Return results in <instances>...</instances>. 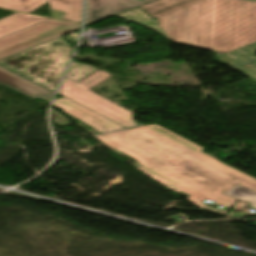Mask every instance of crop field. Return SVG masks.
Listing matches in <instances>:
<instances>
[{
	"instance_id": "1",
	"label": "crop field",
	"mask_w": 256,
	"mask_h": 256,
	"mask_svg": "<svg viewBox=\"0 0 256 256\" xmlns=\"http://www.w3.org/2000/svg\"><path fill=\"white\" fill-rule=\"evenodd\" d=\"M104 146L117 147L126 155L138 160L134 165L173 192L182 191L199 208L226 214L235 198L223 194L237 183L182 157L130 130L103 134L94 137ZM202 200L214 201L224 206L212 209L201 203Z\"/></svg>"
},
{
	"instance_id": "2",
	"label": "crop field",
	"mask_w": 256,
	"mask_h": 256,
	"mask_svg": "<svg viewBox=\"0 0 256 256\" xmlns=\"http://www.w3.org/2000/svg\"><path fill=\"white\" fill-rule=\"evenodd\" d=\"M72 48L60 37L0 61V65L55 91Z\"/></svg>"
},
{
	"instance_id": "3",
	"label": "crop field",
	"mask_w": 256,
	"mask_h": 256,
	"mask_svg": "<svg viewBox=\"0 0 256 256\" xmlns=\"http://www.w3.org/2000/svg\"><path fill=\"white\" fill-rule=\"evenodd\" d=\"M216 0H204L158 17L157 23L170 41L213 51Z\"/></svg>"
},
{
	"instance_id": "4",
	"label": "crop field",
	"mask_w": 256,
	"mask_h": 256,
	"mask_svg": "<svg viewBox=\"0 0 256 256\" xmlns=\"http://www.w3.org/2000/svg\"><path fill=\"white\" fill-rule=\"evenodd\" d=\"M256 41V2L217 0L214 51L222 54Z\"/></svg>"
},
{
	"instance_id": "5",
	"label": "crop field",
	"mask_w": 256,
	"mask_h": 256,
	"mask_svg": "<svg viewBox=\"0 0 256 256\" xmlns=\"http://www.w3.org/2000/svg\"><path fill=\"white\" fill-rule=\"evenodd\" d=\"M182 156H185L237 183L256 191V179L202 152L204 148L158 126L147 125L130 129Z\"/></svg>"
},
{
	"instance_id": "6",
	"label": "crop field",
	"mask_w": 256,
	"mask_h": 256,
	"mask_svg": "<svg viewBox=\"0 0 256 256\" xmlns=\"http://www.w3.org/2000/svg\"><path fill=\"white\" fill-rule=\"evenodd\" d=\"M109 77H111V75L99 70L77 83L65 78L59 91V95L64 96L126 128L138 125L133 120V112L89 90Z\"/></svg>"
},
{
	"instance_id": "7",
	"label": "crop field",
	"mask_w": 256,
	"mask_h": 256,
	"mask_svg": "<svg viewBox=\"0 0 256 256\" xmlns=\"http://www.w3.org/2000/svg\"><path fill=\"white\" fill-rule=\"evenodd\" d=\"M67 114L79 119L83 123L104 133L111 130L124 129V127L62 97L53 103Z\"/></svg>"
},
{
	"instance_id": "8",
	"label": "crop field",
	"mask_w": 256,
	"mask_h": 256,
	"mask_svg": "<svg viewBox=\"0 0 256 256\" xmlns=\"http://www.w3.org/2000/svg\"><path fill=\"white\" fill-rule=\"evenodd\" d=\"M153 0H87L86 25L130 10Z\"/></svg>"
},
{
	"instance_id": "9",
	"label": "crop field",
	"mask_w": 256,
	"mask_h": 256,
	"mask_svg": "<svg viewBox=\"0 0 256 256\" xmlns=\"http://www.w3.org/2000/svg\"><path fill=\"white\" fill-rule=\"evenodd\" d=\"M70 24L72 23L49 19L10 35L4 36L0 38V51Z\"/></svg>"
},
{
	"instance_id": "10",
	"label": "crop field",
	"mask_w": 256,
	"mask_h": 256,
	"mask_svg": "<svg viewBox=\"0 0 256 256\" xmlns=\"http://www.w3.org/2000/svg\"><path fill=\"white\" fill-rule=\"evenodd\" d=\"M0 81L34 97L51 99L53 92L0 66Z\"/></svg>"
},
{
	"instance_id": "11",
	"label": "crop field",
	"mask_w": 256,
	"mask_h": 256,
	"mask_svg": "<svg viewBox=\"0 0 256 256\" xmlns=\"http://www.w3.org/2000/svg\"><path fill=\"white\" fill-rule=\"evenodd\" d=\"M49 5L61 19L81 23L82 0H49Z\"/></svg>"
},
{
	"instance_id": "12",
	"label": "crop field",
	"mask_w": 256,
	"mask_h": 256,
	"mask_svg": "<svg viewBox=\"0 0 256 256\" xmlns=\"http://www.w3.org/2000/svg\"><path fill=\"white\" fill-rule=\"evenodd\" d=\"M47 19L20 13L12 14L0 20V37Z\"/></svg>"
},
{
	"instance_id": "13",
	"label": "crop field",
	"mask_w": 256,
	"mask_h": 256,
	"mask_svg": "<svg viewBox=\"0 0 256 256\" xmlns=\"http://www.w3.org/2000/svg\"><path fill=\"white\" fill-rule=\"evenodd\" d=\"M79 27H80V25L72 24L70 26H67V27H64L62 29L56 30L54 32L43 35V36L38 37L36 39L30 40L28 42H25V43H22L20 45L15 46V47L4 50V51L0 52V60L3 59V58H6L8 56H11L13 54L24 51L26 49H29L31 47H34L36 45L47 42L49 40L55 39V38H57L61 35H65V34L71 32V31H74V30L78 29Z\"/></svg>"
},
{
	"instance_id": "14",
	"label": "crop field",
	"mask_w": 256,
	"mask_h": 256,
	"mask_svg": "<svg viewBox=\"0 0 256 256\" xmlns=\"http://www.w3.org/2000/svg\"><path fill=\"white\" fill-rule=\"evenodd\" d=\"M198 1L201 0H157L140 8L152 18H156Z\"/></svg>"
},
{
	"instance_id": "15",
	"label": "crop field",
	"mask_w": 256,
	"mask_h": 256,
	"mask_svg": "<svg viewBox=\"0 0 256 256\" xmlns=\"http://www.w3.org/2000/svg\"><path fill=\"white\" fill-rule=\"evenodd\" d=\"M255 54H256V44L251 43L249 45L233 50L217 58L222 60L228 66L232 67V66H235V64L237 63L241 64V63L256 59Z\"/></svg>"
},
{
	"instance_id": "16",
	"label": "crop field",
	"mask_w": 256,
	"mask_h": 256,
	"mask_svg": "<svg viewBox=\"0 0 256 256\" xmlns=\"http://www.w3.org/2000/svg\"><path fill=\"white\" fill-rule=\"evenodd\" d=\"M117 16L128 19V20L138 23L140 25L146 26V27L158 32L166 39H168L165 36V34L163 33V31L160 29V27L157 25L156 20L152 19L148 15H146L139 7L132 11H129V12L117 15Z\"/></svg>"
},
{
	"instance_id": "17",
	"label": "crop field",
	"mask_w": 256,
	"mask_h": 256,
	"mask_svg": "<svg viewBox=\"0 0 256 256\" xmlns=\"http://www.w3.org/2000/svg\"><path fill=\"white\" fill-rule=\"evenodd\" d=\"M47 2L48 0H0V8L30 13Z\"/></svg>"
},
{
	"instance_id": "18",
	"label": "crop field",
	"mask_w": 256,
	"mask_h": 256,
	"mask_svg": "<svg viewBox=\"0 0 256 256\" xmlns=\"http://www.w3.org/2000/svg\"><path fill=\"white\" fill-rule=\"evenodd\" d=\"M225 194L233 196L239 200L251 203L250 206L256 208V192L238 184Z\"/></svg>"
},
{
	"instance_id": "19",
	"label": "crop field",
	"mask_w": 256,
	"mask_h": 256,
	"mask_svg": "<svg viewBox=\"0 0 256 256\" xmlns=\"http://www.w3.org/2000/svg\"><path fill=\"white\" fill-rule=\"evenodd\" d=\"M97 70L99 69L73 62L66 77L77 82Z\"/></svg>"
},
{
	"instance_id": "20",
	"label": "crop field",
	"mask_w": 256,
	"mask_h": 256,
	"mask_svg": "<svg viewBox=\"0 0 256 256\" xmlns=\"http://www.w3.org/2000/svg\"><path fill=\"white\" fill-rule=\"evenodd\" d=\"M236 68L256 81V61Z\"/></svg>"
},
{
	"instance_id": "21",
	"label": "crop field",
	"mask_w": 256,
	"mask_h": 256,
	"mask_svg": "<svg viewBox=\"0 0 256 256\" xmlns=\"http://www.w3.org/2000/svg\"><path fill=\"white\" fill-rule=\"evenodd\" d=\"M51 17L60 19L53 11L50 10Z\"/></svg>"
},
{
	"instance_id": "22",
	"label": "crop field",
	"mask_w": 256,
	"mask_h": 256,
	"mask_svg": "<svg viewBox=\"0 0 256 256\" xmlns=\"http://www.w3.org/2000/svg\"><path fill=\"white\" fill-rule=\"evenodd\" d=\"M253 1H256V0H253Z\"/></svg>"
}]
</instances>
